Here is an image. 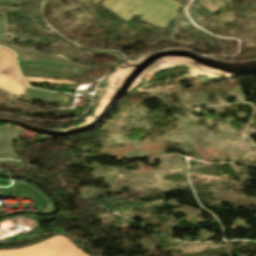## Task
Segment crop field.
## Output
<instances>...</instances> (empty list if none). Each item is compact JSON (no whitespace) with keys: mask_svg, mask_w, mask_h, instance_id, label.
I'll use <instances>...</instances> for the list:
<instances>
[{"mask_svg":"<svg viewBox=\"0 0 256 256\" xmlns=\"http://www.w3.org/2000/svg\"><path fill=\"white\" fill-rule=\"evenodd\" d=\"M102 6L127 21L143 13L142 20L160 27H165L181 7L172 0H104Z\"/></svg>","mask_w":256,"mask_h":256,"instance_id":"crop-field-1","label":"crop field"},{"mask_svg":"<svg viewBox=\"0 0 256 256\" xmlns=\"http://www.w3.org/2000/svg\"><path fill=\"white\" fill-rule=\"evenodd\" d=\"M0 256H87L61 236L45 240L37 245L9 251H0Z\"/></svg>","mask_w":256,"mask_h":256,"instance_id":"crop-field-2","label":"crop field"},{"mask_svg":"<svg viewBox=\"0 0 256 256\" xmlns=\"http://www.w3.org/2000/svg\"><path fill=\"white\" fill-rule=\"evenodd\" d=\"M0 88L21 96L26 89L16 66L15 55L4 48L0 51Z\"/></svg>","mask_w":256,"mask_h":256,"instance_id":"crop-field-3","label":"crop field"},{"mask_svg":"<svg viewBox=\"0 0 256 256\" xmlns=\"http://www.w3.org/2000/svg\"><path fill=\"white\" fill-rule=\"evenodd\" d=\"M25 96L52 102L66 103L68 98L37 89H27ZM70 99V98H69Z\"/></svg>","mask_w":256,"mask_h":256,"instance_id":"crop-field-4","label":"crop field"},{"mask_svg":"<svg viewBox=\"0 0 256 256\" xmlns=\"http://www.w3.org/2000/svg\"><path fill=\"white\" fill-rule=\"evenodd\" d=\"M28 85L30 82H36V83H59V84H74L76 85V82H70V81H63V80H55V79H38V78H25Z\"/></svg>","mask_w":256,"mask_h":256,"instance_id":"crop-field-5","label":"crop field"},{"mask_svg":"<svg viewBox=\"0 0 256 256\" xmlns=\"http://www.w3.org/2000/svg\"><path fill=\"white\" fill-rule=\"evenodd\" d=\"M99 1H100V0H95V1H94V3H96V4H97Z\"/></svg>","mask_w":256,"mask_h":256,"instance_id":"crop-field-6","label":"crop field"},{"mask_svg":"<svg viewBox=\"0 0 256 256\" xmlns=\"http://www.w3.org/2000/svg\"><path fill=\"white\" fill-rule=\"evenodd\" d=\"M1 49V48H0Z\"/></svg>","mask_w":256,"mask_h":256,"instance_id":"crop-field-7","label":"crop field"}]
</instances>
